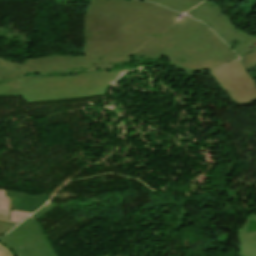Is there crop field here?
<instances>
[{
  "label": "crop field",
  "mask_w": 256,
  "mask_h": 256,
  "mask_svg": "<svg viewBox=\"0 0 256 256\" xmlns=\"http://www.w3.org/2000/svg\"><path fill=\"white\" fill-rule=\"evenodd\" d=\"M55 206L57 205L53 204L50 208L23 221L0 241L18 256H58L51 242L35 221Z\"/></svg>",
  "instance_id": "3"
},
{
  "label": "crop field",
  "mask_w": 256,
  "mask_h": 256,
  "mask_svg": "<svg viewBox=\"0 0 256 256\" xmlns=\"http://www.w3.org/2000/svg\"><path fill=\"white\" fill-rule=\"evenodd\" d=\"M15 196L4 197V190L0 189V221L19 224L30 213L14 210Z\"/></svg>",
  "instance_id": "7"
},
{
  "label": "crop field",
  "mask_w": 256,
  "mask_h": 256,
  "mask_svg": "<svg viewBox=\"0 0 256 256\" xmlns=\"http://www.w3.org/2000/svg\"><path fill=\"white\" fill-rule=\"evenodd\" d=\"M16 226V224L0 222V236Z\"/></svg>",
  "instance_id": "9"
},
{
  "label": "crop field",
  "mask_w": 256,
  "mask_h": 256,
  "mask_svg": "<svg viewBox=\"0 0 256 256\" xmlns=\"http://www.w3.org/2000/svg\"><path fill=\"white\" fill-rule=\"evenodd\" d=\"M157 4H162L173 10L186 12L203 0H148Z\"/></svg>",
  "instance_id": "8"
},
{
  "label": "crop field",
  "mask_w": 256,
  "mask_h": 256,
  "mask_svg": "<svg viewBox=\"0 0 256 256\" xmlns=\"http://www.w3.org/2000/svg\"><path fill=\"white\" fill-rule=\"evenodd\" d=\"M206 23L235 52L241 56L246 71L256 67V36L250 35L233 25L227 14L213 1H205L186 13ZM255 49L252 51L249 47Z\"/></svg>",
  "instance_id": "2"
},
{
  "label": "crop field",
  "mask_w": 256,
  "mask_h": 256,
  "mask_svg": "<svg viewBox=\"0 0 256 256\" xmlns=\"http://www.w3.org/2000/svg\"><path fill=\"white\" fill-rule=\"evenodd\" d=\"M145 1L91 0L83 20V55L52 54L22 64L0 58V97L27 103L105 95L130 72L135 55L170 60L186 72L238 57L204 24Z\"/></svg>",
  "instance_id": "1"
},
{
  "label": "crop field",
  "mask_w": 256,
  "mask_h": 256,
  "mask_svg": "<svg viewBox=\"0 0 256 256\" xmlns=\"http://www.w3.org/2000/svg\"><path fill=\"white\" fill-rule=\"evenodd\" d=\"M7 195H16V210H23L31 213L36 211L50 199V197L43 193L31 196L23 192L5 190V196Z\"/></svg>",
  "instance_id": "6"
},
{
  "label": "crop field",
  "mask_w": 256,
  "mask_h": 256,
  "mask_svg": "<svg viewBox=\"0 0 256 256\" xmlns=\"http://www.w3.org/2000/svg\"><path fill=\"white\" fill-rule=\"evenodd\" d=\"M241 256H256V216H250L246 226L238 231Z\"/></svg>",
  "instance_id": "5"
},
{
  "label": "crop field",
  "mask_w": 256,
  "mask_h": 256,
  "mask_svg": "<svg viewBox=\"0 0 256 256\" xmlns=\"http://www.w3.org/2000/svg\"><path fill=\"white\" fill-rule=\"evenodd\" d=\"M210 72L232 102L241 106L256 101V84L240 59Z\"/></svg>",
  "instance_id": "4"
},
{
  "label": "crop field",
  "mask_w": 256,
  "mask_h": 256,
  "mask_svg": "<svg viewBox=\"0 0 256 256\" xmlns=\"http://www.w3.org/2000/svg\"><path fill=\"white\" fill-rule=\"evenodd\" d=\"M0 256H13L12 253L0 244Z\"/></svg>",
  "instance_id": "10"
}]
</instances>
